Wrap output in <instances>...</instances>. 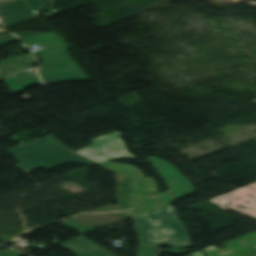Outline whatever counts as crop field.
<instances>
[{
    "mask_svg": "<svg viewBox=\"0 0 256 256\" xmlns=\"http://www.w3.org/2000/svg\"><path fill=\"white\" fill-rule=\"evenodd\" d=\"M134 228L140 244H169L172 248L191 247V236L170 204L135 216Z\"/></svg>",
    "mask_w": 256,
    "mask_h": 256,
    "instance_id": "1",
    "label": "crop field"
},
{
    "mask_svg": "<svg viewBox=\"0 0 256 256\" xmlns=\"http://www.w3.org/2000/svg\"><path fill=\"white\" fill-rule=\"evenodd\" d=\"M8 153L17 159L21 163L18 166L27 172L41 167L49 169L64 163H96V161L66 148L52 135L20 145Z\"/></svg>",
    "mask_w": 256,
    "mask_h": 256,
    "instance_id": "2",
    "label": "crop field"
},
{
    "mask_svg": "<svg viewBox=\"0 0 256 256\" xmlns=\"http://www.w3.org/2000/svg\"><path fill=\"white\" fill-rule=\"evenodd\" d=\"M99 164L107 169L130 177L129 185L134 193L130 194L132 202L128 206L131 209L125 212V215L133 217L173 201L169 191L153 193L152 191L158 190L154 178H144L143 174L135 166L111 163L109 161L99 162Z\"/></svg>",
    "mask_w": 256,
    "mask_h": 256,
    "instance_id": "3",
    "label": "crop field"
},
{
    "mask_svg": "<svg viewBox=\"0 0 256 256\" xmlns=\"http://www.w3.org/2000/svg\"><path fill=\"white\" fill-rule=\"evenodd\" d=\"M120 132L98 137L92 140V144L79 152L95 159L96 161L110 160L114 158H126L136 160L125 148V143L119 140Z\"/></svg>",
    "mask_w": 256,
    "mask_h": 256,
    "instance_id": "4",
    "label": "crop field"
},
{
    "mask_svg": "<svg viewBox=\"0 0 256 256\" xmlns=\"http://www.w3.org/2000/svg\"><path fill=\"white\" fill-rule=\"evenodd\" d=\"M38 72L43 79V83L89 80L69 56L40 66Z\"/></svg>",
    "mask_w": 256,
    "mask_h": 256,
    "instance_id": "5",
    "label": "crop field"
},
{
    "mask_svg": "<svg viewBox=\"0 0 256 256\" xmlns=\"http://www.w3.org/2000/svg\"><path fill=\"white\" fill-rule=\"evenodd\" d=\"M58 245L68 249L76 256H115L97 246L84 236L60 243ZM157 249V246L140 245L138 256H156ZM78 250L79 252H77Z\"/></svg>",
    "mask_w": 256,
    "mask_h": 256,
    "instance_id": "6",
    "label": "crop field"
},
{
    "mask_svg": "<svg viewBox=\"0 0 256 256\" xmlns=\"http://www.w3.org/2000/svg\"><path fill=\"white\" fill-rule=\"evenodd\" d=\"M22 41L27 46L42 45L44 47L40 52H33L34 55L40 54L43 56L38 58V60H44L42 64L67 56L64 49L69 48L68 44L55 33H47L23 39Z\"/></svg>",
    "mask_w": 256,
    "mask_h": 256,
    "instance_id": "7",
    "label": "crop field"
},
{
    "mask_svg": "<svg viewBox=\"0 0 256 256\" xmlns=\"http://www.w3.org/2000/svg\"><path fill=\"white\" fill-rule=\"evenodd\" d=\"M34 16L23 0H15L0 6V19L4 26Z\"/></svg>",
    "mask_w": 256,
    "mask_h": 256,
    "instance_id": "8",
    "label": "crop field"
},
{
    "mask_svg": "<svg viewBox=\"0 0 256 256\" xmlns=\"http://www.w3.org/2000/svg\"><path fill=\"white\" fill-rule=\"evenodd\" d=\"M225 249H216L214 245L205 248L207 256H222L256 246V231L223 243Z\"/></svg>",
    "mask_w": 256,
    "mask_h": 256,
    "instance_id": "9",
    "label": "crop field"
},
{
    "mask_svg": "<svg viewBox=\"0 0 256 256\" xmlns=\"http://www.w3.org/2000/svg\"><path fill=\"white\" fill-rule=\"evenodd\" d=\"M6 84L13 93H19L34 85L40 84V79L34 69L26 71L23 75H16L5 79Z\"/></svg>",
    "mask_w": 256,
    "mask_h": 256,
    "instance_id": "10",
    "label": "crop field"
},
{
    "mask_svg": "<svg viewBox=\"0 0 256 256\" xmlns=\"http://www.w3.org/2000/svg\"><path fill=\"white\" fill-rule=\"evenodd\" d=\"M26 58L19 59L18 56L8 59L6 61L0 62V69L2 70L3 78L15 74L17 72L23 71L31 67V65L36 64L31 56L25 55Z\"/></svg>",
    "mask_w": 256,
    "mask_h": 256,
    "instance_id": "11",
    "label": "crop field"
},
{
    "mask_svg": "<svg viewBox=\"0 0 256 256\" xmlns=\"http://www.w3.org/2000/svg\"><path fill=\"white\" fill-rule=\"evenodd\" d=\"M27 2L35 12H40L47 9V4L42 0H27Z\"/></svg>",
    "mask_w": 256,
    "mask_h": 256,
    "instance_id": "12",
    "label": "crop field"
},
{
    "mask_svg": "<svg viewBox=\"0 0 256 256\" xmlns=\"http://www.w3.org/2000/svg\"><path fill=\"white\" fill-rule=\"evenodd\" d=\"M15 40H17V38L11 34L0 35V46Z\"/></svg>",
    "mask_w": 256,
    "mask_h": 256,
    "instance_id": "13",
    "label": "crop field"
},
{
    "mask_svg": "<svg viewBox=\"0 0 256 256\" xmlns=\"http://www.w3.org/2000/svg\"><path fill=\"white\" fill-rule=\"evenodd\" d=\"M16 34L20 39L22 38H26V37H30V36H34V35H38V34H43L40 32H20V33H14Z\"/></svg>",
    "mask_w": 256,
    "mask_h": 256,
    "instance_id": "14",
    "label": "crop field"
},
{
    "mask_svg": "<svg viewBox=\"0 0 256 256\" xmlns=\"http://www.w3.org/2000/svg\"><path fill=\"white\" fill-rule=\"evenodd\" d=\"M15 250L13 249H8V250H5V251H0V256H22L24 254H11V252H13Z\"/></svg>",
    "mask_w": 256,
    "mask_h": 256,
    "instance_id": "15",
    "label": "crop field"
},
{
    "mask_svg": "<svg viewBox=\"0 0 256 256\" xmlns=\"http://www.w3.org/2000/svg\"><path fill=\"white\" fill-rule=\"evenodd\" d=\"M186 256H203L202 252H197V253H193V254H190V255H186Z\"/></svg>",
    "mask_w": 256,
    "mask_h": 256,
    "instance_id": "16",
    "label": "crop field"
},
{
    "mask_svg": "<svg viewBox=\"0 0 256 256\" xmlns=\"http://www.w3.org/2000/svg\"><path fill=\"white\" fill-rule=\"evenodd\" d=\"M9 1H12V0H0V4L6 3V2H9Z\"/></svg>",
    "mask_w": 256,
    "mask_h": 256,
    "instance_id": "17",
    "label": "crop field"
}]
</instances>
